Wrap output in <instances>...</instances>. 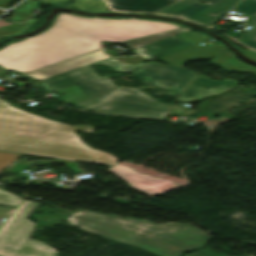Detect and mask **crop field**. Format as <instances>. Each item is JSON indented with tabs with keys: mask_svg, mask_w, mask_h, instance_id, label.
<instances>
[{
	"mask_svg": "<svg viewBox=\"0 0 256 256\" xmlns=\"http://www.w3.org/2000/svg\"><path fill=\"white\" fill-rule=\"evenodd\" d=\"M180 26L144 19H109L60 14L46 32L0 51V66L30 72L68 58L100 49L97 42H117L142 38Z\"/></svg>",
	"mask_w": 256,
	"mask_h": 256,
	"instance_id": "8a807250",
	"label": "crop field"
},
{
	"mask_svg": "<svg viewBox=\"0 0 256 256\" xmlns=\"http://www.w3.org/2000/svg\"><path fill=\"white\" fill-rule=\"evenodd\" d=\"M91 126H68L28 113L0 100V151L112 166L118 159L91 149L74 132Z\"/></svg>",
	"mask_w": 256,
	"mask_h": 256,
	"instance_id": "ac0d7876",
	"label": "crop field"
},
{
	"mask_svg": "<svg viewBox=\"0 0 256 256\" xmlns=\"http://www.w3.org/2000/svg\"><path fill=\"white\" fill-rule=\"evenodd\" d=\"M64 220L80 229L132 245L157 256H182L183 253L204 247L210 239L198 228L187 224L157 225L136 218L114 214L76 210Z\"/></svg>",
	"mask_w": 256,
	"mask_h": 256,
	"instance_id": "34b2d1b8",
	"label": "crop field"
},
{
	"mask_svg": "<svg viewBox=\"0 0 256 256\" xmlns=\"http://www.w3.org/2000/svg\"><path fill=\"white\" fill-rule=\"evenodd\" d=\"M105 64L111 66L112 70L124 71L131 73L140 78L143 83L163 88L167 90V94L176 96L196 75L190 73V70L174 68L166 65H155L141 63L136 68H130L126 65L119 64L113 57L86 65L84 67L65 72L41 81L47 92H53L68 86L77 84L90 98L76 107L86 108L90 105L98 103L110 95L117 89L109 79L104 76L99 78L92 65Z\"/></svg>",
	"mask_w": 256,
	"mask_h": 256,
	"instance_id": "412701ff",
	"label": "crop field"
},
{
	"mask_svg": "<svg viewBox=\"0 0 256 256\" xmlns=\"http://www.w3.org/2000/svg\"><path fill=\"white\" fill-rule=\"evenodd\" d=\"M38 202L25 200L0 229L1 256H56L57 250L43 241L29 239L35 223L26 217Z\"/></svg>",
	"mask_w": 256,
	"mask_h": 256,
	"instance_id": "f4fd0767",
	"label": "crop field"
},
{
	"mask_svg": "<svg viewBox=\"0 0 256 256\" xmlns=\"http://www.w3.org/2000/svg\"><path fill=\"white\" fill-rule=\"evenodd\" d=\"M88 109L128 116L164 119L167 114L180 115L184 108L158 103L139 90L121 88L103 103Z\"/></svg>",
	"mask_w": 256,
	"mask_h": 256,
	"instance_id": "dd49c442",
	"label": "crop field"
},
{
	"mask_svg": "<svg viewBox=\"0 0 256 256\" xmlns=\"http://www.w3.org/2000/svg\"><path fill=\"white\" fill-rule=\"evenodd\" d=\"M199 0H181L157 13L171 14L212 26L240 0H206L210 6L197 4ZM215 14V16H210Z\"/></svg>",
	"mask_w": 256,
	"mask_h": 256,
	"instance_id": "e52e79f7",
	"label": "crop field"
},
{
	"mask_svg": "<svg viewBox=\"0 0 256 256\" xmlns=\"http://www.w3.org/2000/svg\"><path fill=\"white\" fill-rule=\"evenodd\" d=\"M106 170L120 178L129 186L149 196L181 187L173 181L152 177L148 174H140L132 168L119 163Z\"/></svg>",
	"mask_w": 256,
	"mask_h": 256,
	"instance_id": "d8731c3e",
	"label": "crop field"
},
{
	"mask_svg": "<svg viewBox=\"0 0 256 256\" xmlns=\"http://www.w3.org/2000/svg\"><path fill=\"white\" fill-rule=\"evenodd\" d=\"M237 84L238 82L230 80L214 81L198 75L178 100L182 102L201 100L208 95L222 93Z\"/></svg>",
	"mask_w": 256,
	"mask_h": 256,
	"instance_id": "5a996713",
	"label": "crop field"
},
{
	"mask_svg": "<svg viewBox=\"0 0 256 256\" xmlns=\"http://www.w3.org/2000/svg\"><path fill=\"white\" fill-rule=\"evenodd\" d=\"M105 50L106 49L98 51V52H94V53H91V54H88V55H85V56H82V57H79V58H76L73 60H70L67 62H64L61 64H58V65H55V66H52V67H49L46 69H42V70H39V71H36L33 73H29L26 75H28L36 80H41V79H44V78L68 71V70H72V69L81 67L83 65L110 57V55L105 53Z\"/></svg>",
	"mask_w": 256,
	"mask_h": 256,
	"instance_id": "3316defc",
	"label": "crop field"
},
{
	"mask_svg": "<svg viewBox=\"0 0 256 256\" xmlns=\"http://www.w3.org/2000/svg\"><path fill=\"white\" fill-rule=\"evenodd\" d=\"M189 46H191L189 43H187L180 37L175 36L167 40L150 44L133 52L142 57L153 59Z\"/></svg>",
	"mask_w": 256,
	"mask_h": 256,
	"instance_id": "28ad6ade",
	"label": "crop field"
},
{
	"mask_svg": "<svg viewBox=\"0 0 256 256\" xmlns=\"http://www.w3.org/2000/svg\"><path fill=\"white\" fill-rule=\"evenodd\" d=\"M112 9L120 11L156 12L178 0H108Z\"/></svg>",
	"mask_w": 256,
	"mask_h": 256,
	"instance_id": "d1516ede",
	"label": "crop field"
},
{
	"mask_svg": "<svg viewBox=\"0 0 256 256\" xmlns=\"http://www.w3.org/2000/svg\"><path fill=\"white\" fill-rule=\"evenodd\" d=\"M234 10L253 16L246 22L253 27L246 31L237 41L256 50V0H243Z\"/></svg>",
	"mask_w": 256,
	"mask_h": 256,
	"instance_id": "22f410ed",
	"label": "crop field"
},
{
	"mask_svg": "<svg viewBox=\"0 0 256 256\" xmlns=\"http://www.w3.org/2000/svg\"><path fill=\"white\" fill-rule=\"evenodd\" d=\"M211 63L217 64L226 71L248 72L256 75V68L240 62L237 57L227 48L223 47L221 51L211 60Z\"/></svg>",
	"mask_w": 256,
	"mask_h": 256,
	"instance_id": "cbeb9de0",
	"label": "crop field"
},
{
	"mask_svg": "<svg viewBox=\"0 0 256 256\" xmlns=\"http://www.w3.org/2000/svg\"><path fill=\"white\" fill-rule=\"evenodd\" d=\"M191 31V29L188 28H183V29H179V30H175V31H171V32H167V33H163V34H159V35H154V36H150V37H146V38H142V39H137V40H132V41H128V42H123L120 43L128 48H130L131 50L136 49L140 46H145L147 44L156 42V41H160L166 38H170L173 37L175 35H179L181 33L184 32H189Z\"/></svg>",
	"mask_w": 256,
	"mask_h": 256,
	"instance_id": "5142ce71",
	"label": "crop field"
},
{
	"mask_svg": "<svg viewBox=\"0 0 256 256\" xmlns=\"http://www.w3.org/2000/svg\"><path fill=\"white\" fill-rule=\"evenodd\" d=\"M200 46H194L188 49H184L172 54H169L167 56L161 57L159 59L165 60L170 62V66H174V67H181L183 68V65L188 61L191 60L190 58H188L187 56H185L187 53L193 51L194 49L198 48Z\"/></svg>",
	"mask_w": 256,
	"mask_h": 256,
	"instance_id": "d9b57169",
	"label": "crop field"
},
{
	"mask_svg": "<svg viewBox=\"0 0 256 256\" xmlns=\"http://www.w3.org/2000/svg\"><path fill=\"white\" fill-rule=\"evenodd\" d=\"M221 48L222 47L217 44L212 47L205 45L188 56L195 60L212 59Z\"/></svg>",
	"mask_w": 256,
	"mask_h": 256,
	"instance_id": "733c2abd",
	"label": "crop field"
},
{
	"mask_svg": "<svg viewBox=\"0 0 256 256\" xmlns=\"http://www.w3.org/2000/svg\"><path fill=\"white\" fill-rule=\"evenodd\" d=\"M22 199L7 192L0 190V204L17 206Z\"/></svg>",
	"mask_w": 256,
	"mask_h": 256,
	"instance_id": "4a817a6b",
	"label": "crop field"
},
{
	"mask_svg": "<svg viewBox=\"0 0 256 256\" xmlns=\"http://www.w3.org/2000/svg\"><path fill=\"white\" fill-rule=\"evenodd\" d=\"M179 36L192 45L210 40V38H208L202 34H199L197 32L184 33Z\"/></svg>",
	"mask_w": 256,
	"mask_h": 256,
	"instance_id": "bc2a9ffb",
	"label": "crop field"
},
{
	"mask_svg": "<svg viewBox=\"0 0 256 256\" xmlns=\"http://www.w3.org/2000/svg\"><path fill=\"white\" fill-rule=\"evenodd\" d=\"M21 155L7 154L0 152V172L8 167L12 162H14Z\"/></svg>",
	"mask_w": 256,
	"mask_h": 256,
	"instance_id": "214f88e0",
	"label": "crop field"
},
{
	"mask_svg": "<svg viewBox=\"0 0 256 256\" xmlns=\"http://www.w3.org/2000/svg\"><path fill=\"white\" fill-rule=\"evenodd\" d=\"M118 62L129 65L131 67H136L139 65L141 62L147 61L149 59L142 58L140 56L137 57H130V58H120L116 57L115 58Z\"/></svg>",
	"mask_w": 256,
	"mask_h": 256,
	"instance_id": "92a150f3",
	"label": "crop field"
},
{
	"mask_svg": "<svg viewBox=\"0 0 256 256\" xmlns=\"http://www.w3.org/2000/svg\"><path fill=\"white\" fill-rule=\"evenodd\" d=\"M23 29H24V27H22L18 24H13V25H9L6 27H2V28H0V38L7 34L18 33L20 31H22Z\"/></svg>",
	"mask_w": 256,
	"mask_h": 256,
	"instance_id": "dafd665d",
	"label": "crop field"
},
{
	"mask_svg": "<svg viewBox=\"0 0 256 256\" xmlns=\"http://www.w3.org/2000/svg\"><path fill=\"white\" fill-rule=\"evenodd\" d=\"M14 208H4L0 206V221L3 217H8Z\"/></svg>",
	"mask_w": 256,
	"mask_h": 256,
	"instance_id": "00972430",
	"label": "crop field"
},
{
	"mask_svg": "<svg viewBox=\"0 0 256 256\" xmlns=\"http://www.w3.org/2000/svg\"><path fill=\"white\" fill-rule=\"evenodd\" d=\"M244 55H246L248 58L254 59L256 60V53L251 51V52H245L243 53Z\"/></svg>",
	"mask_w": 256,
	"mask_h": 256,
	"instance_id": "a9b5d70f",
	"label": "crop field"
},
{
	"mask_svg": "<svg viewBox=\"0 0 256 256\" xmlns=\"http://www.w3.org/2000/svg\"><path fill=\"white\" fill-rule=\"evenodd\" d=\"M195 113H196L195 111L186 109V110L182 113V115H185V116H192V115H195Z\"/></svg>",
	"mask_w": 256,
	"mask_h": 256,
	"instance_id": "4177f3b9",
	"label": "crop field"
},
{
	"mask_svg": "<svg viewBox=\"0 0 256 256\" xmlns=\"http://www.w3.org/2000/svg\"><path fill=\"white\" fill-rule=\"evenodd\" d=\"M11 0H0V8L7 6Z\"/></svg>",
	"mask_w": 256,
	"mask_h": 256,
	"instance_id": "730fd06b",
	"label": "crop field"
}]
</instances>
